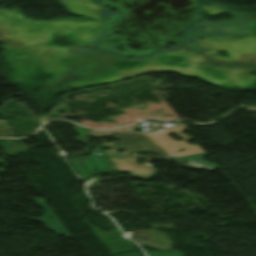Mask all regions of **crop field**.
Instances as JSON below:
<instances>
[{"mask_svg": "<svg viewBox=\"0 0 256 256\" xmlns=\"http://www.w3.org/2000/svg\"><path fill=\"white\" fill-rule=\"evenodd\" d=\"M176 125H180L181 128H177ZM184 129L185 127L183 126V124H175L155 134H140V133H130V132H117V131H104L105 133H101V134H99L98 132H102V131H97L96 133L90 132V134L93 136L97 134L99 136H96V137L101 138V137L107 136L109 132H113L114 134H116L115 137L122 140L118 143L117 146L115 147L112 146L113 143H108V145L99 144V143L98 144L102 146L113 147V148H117V147H119L120 149L125 148L126 149L125 152L132 153L134 155H136L135 153H137L138 150H140L139 152H148V151L154 150L153 152L160 154L157 157L158 159H168L170 158L169 154H175L174 157H177V156L203 152L202 149L196 145L190 146L186 141L176 142L173 138H171L168 135L171 133H176L181 137L188 139L185 136V134L184 135L180 134V132L184 131ZM102 134H105V135L102 136ZM125 134H127L128 136L126 137ZM189 138L192 139V137H189ZM151 139H153V141H151ZM141 140H143L144 142H141ZM154 144H156V146H154ZM169 144L170 146L168 147L167 145ZM132 146H135V147L140 146V149H138L137 147L136 149H133L131 148ZM182 148H185L186 150L181 151L180 153H177V151ZM164 149L167 150L166 151L167 153H164L165 151ZM173 151H175V153H173ZM160 156H164V157L161 158Z\"/></svg>", "mask_w": 256, "mask_h": 256, "instance_id": "8a807250", "label": "crop field"}, {"mask_svg": "<svg viewBox=\"0 0 256 256\" xmlns=\"http://www.w3.org/2000/svg\"><path fill=\"white\" fill-rule=\"evenodd\" d=\"M97 153H99L97 155ZM83 179L99 172L119 171L114 164L101 150H94L93 156L84 158H74L69 160ZM97 169L98 171H93Z\"/></svg>", "mask_w": 256, "mask_h": 256, "instance_id": "ac0d7876", "label": "crop field"}, {"mask_svg": "<svg viewBox=\"0 0 256 256\" xmlns=\"http://www.w3.org/2000/svg\"><path fill=\"white\" fill-rule=\"evenodd\" d=\"M111 160L120 171H127L139 179L147 180L157 173L154 168L147 164L150 160H147L144 165H137L138 159L111 158Z\"/></svg>", "mask_w": 256, "mask_h": 256, "instance_id": "34b2d1b8", "label": "crop field"}, {"mask_svg": "<svg viewBox=\"0 0 256 256\" xmlns=\"http://www.w3.org/2000/svg\"><path fill=\"white\" fill-rule=\"evenodd\" d=\"M34 201L36 204L44 208L45 210L44 217L32 218L30 220L36 221V222H42L48 230L54 233H57L64 237H72L71 234L63 226V224L59 221V219L56 217V215L52 212V210L48 207V205L44 202L43 199L36 198L34 199Z\"/></svg>", "mask_w": 256, "mask_h": 256, "instance_id": "412701ff", "label": "crop field"}, {"mask_svg": "<svg viewBox=\"0 0 256 256\" xmlns=\"http://www.w3.org/2000/svg\"><path fill=\"white\" fill-rule=\"evenodd\" d=\"M206 155V153L203 154H198V155H193V156H187V157H182V158H177V159H173L175 161L178 162V164H180L181 166L185 167V168H192V169H203L206 168L208 170H212L214 168H216L215 165L211 164L208 161H202L200 159L201 156ZM190 162L187 165H184V162Z\"/></svg>", "mask_w": 256, "mask_h": 256, "instance_id": "f4fd0767", "label": "crop field"}, {"mask_svg": "<svg viewBox=\"0 0 256 256\" xmlns=\"http://www.w3.org/2000/svg\"><path fill=\"white\" fill-rule=\"evenodd\" d=\"M105 153H107L109 155V157H142V156H130V155H127V153H125V152L122 154H117L116 149L106 151ZM142 158L157 159L156 157H142Z\"/></svg>", "mask_w": 256, "mask_h": 256, "instance_id": "dd49c442", "label": "crop field"}, {"mask_svg": "<svg viewBox=\"0 0 256 256\" xmlns=\"http://www.w3.org/2000/svg\"><path fill=\"white\" fill-rule=\"evenodd\" d=\"M77 129H78V131H79L84 137L90 136V134L88 133L87 130H85V129L81 128V127H77Z\"/></svg>", "mask_w": 256, "mask_h": 256, "instance_id": "e52e79f7", "label": "crop field"}, {"mask_svg": "<svg viewBox=\"0 0 256 256\" xmlns=\"http://www.w3.org/2000/svg\"><path fill=\"white\" fill-rule=\"evenodd\" d=\"M161 111V113H162V111H163V109L162 110H160ZM151 113H157V112H147L146 114H150V115H153V114H151ZM161 113H158V115L157 116H162V114ZM172 116V114H167L166 116Z\"/></svg>", "mask_w": 256, "mask_h": 256, "instance_id": "d8731c3e", "label": "crop field"}]
</instances>
